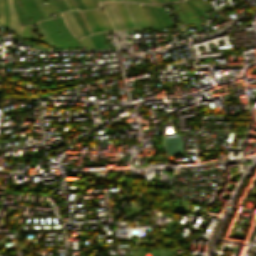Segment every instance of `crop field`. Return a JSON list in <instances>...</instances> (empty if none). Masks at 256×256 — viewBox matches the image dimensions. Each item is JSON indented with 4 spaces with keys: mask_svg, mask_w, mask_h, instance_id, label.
I'll return each mask as SVG.
<instances>
[{
    "mask_svg": "<svg viewBox=\"0 0 256 256\" xmlns=\"http://www.w3.org/2000/svg\"><path fill=\"white\" fill-rule=\"evenodd\" d=\"M105 1H107V0H105Z\"/></svg>",
    "mask_w": 256,
    "mask_h": 256,
    "instance_id": "53",
    "label": "crop field"
},
{
    "mask_svg": "<svg viewBox=\"0 0 256 256\" xmlns=\"http://www.w3.org/2000/svg\"><path fill=\"white\" fill-rule=\"evenodd\" d=\"M82 13H83V15H84V17H85V19H86V21H87L89 27L91 28L92 32L95 33V31H94V29H93V27H92L90 21L88 20V18H87L86 15L84 14V12H82Z\"/></svg>",
    "mask_w": 256,
    "mask_h": 256,
    "instance_id": "28",
    "label": "crop field"
},
{
    "mask_svg": "<svg viewBox=\"0 0 256 256\" xmlns=\"http://www.w3.org/2000/svg\"><path fill=\"white\" fill-rule=\"evenodd\" d=\"M42 1V0H41ZM42 3H44L43 1H42Z\"/></svg>",
    "mask_w": 256,
    "mask_h": 256,
    "instance_id": "50",
    "label": "crop field"
},
{
    "mask_svg": "<svg viewBox=\"0 0 256 256\" xmlns=\"http://www.w3.org/2000/svg\"><path fill=\"white\" fill-rule=\"evenodd\" d=\"M72 14L75 16L76 12H75V14H74V12H72ZM76 16H77V14H76ZM76 16H75V18H76ZM77 18L79 19L78 16H77ZM77 18H76V19H77ZM77 21H78V20H77ZM79 21H80V19H79ZM79 21H78V23H79ZM80 23H81L82 27L84 28V30L86 31L87 35H89L88 32H87V30L85 29V27H84V25L82 24L81 21H80ZM80 23H79V25H80ZM81 25H80V27H81ZM82 27H81V28H82ZM83 28H82V30H83ZM84 30H83V32H84ZM86 33L84 32L85 36H87Z\"/></svg>",
    "mask_w": 256,
    "mask_h": 256,
    "instance_id": "25",
    "label": "crop field"
},
{
    "mask_svg": "<svg viewBox=\"0 0 256 256\" xmlns=\"http://www.w3.org/2000/svg\"><path fill=\"white\" fill-rule=\"evenodd\" d=\"M3 6H4V25L3 26L7 27L8 26V22H9L7 0H3Z\"/></svg>",
    "mask_w": 256,
    "mask_h": 256,
    "instance_id": "11",
    "label": "crop field"
},
{
    "mask_svg": "<svg viewBox=\"0 0 256 256\" xmlns=\"http://www.w3.org/2000/svg\"><path fill=\"white\" fill-rule=\"evenodd\" d=\"M185 2L197 15L203 14L190 0H186Z\"/></svg>",
    "mask_w": 256,
    "mask_h": 256,
    "instance_id": "14",
    "label": "crop field"
},
{
    "mask_svg": "<svg viewBox=\"0 0 256 256\" xmlns=\"http://www.w3.org/2000/svg\"><path fill=\"white\" fill-rule=\"evenodd\" d=\"M59 49L78 47L75 37L70 33L62 16L40 22ZM60 32V34H58Z\"/></svg>",
    "mask_w": 256,
    "mask_h": 256,
    "instance_id": "1",
    "label": "crop field"
},
{
    "mask_svg": "<svg viewBox=\"0 0 256 256\" xmlns=\"http://www.w3.org/2000/svg\"><path fill=\"white\" fill-rule=\"evenodd\" d=\"M109 5H110V7H111V9H112V11H113L115 17H116V19H117V21H118V23H119L121 29L127 28L126 25H125V23H124V21H123L122 16H120V13H119V11H118V9H117L115 3H109Z\"/></svg>",
    "mask_w": 256,
    "mask_h": 256,
    "instance_id": "8",
    "label": "crop field"
},
{
    "mask_svg": "<svg viewBox=\"0 0 256 256\" xmlns=\"http://www.w3.org/2000/svg\"><path fill=\"white\" fill-rule=\"evenodd\" d=\"M141 8H142V11H143V13H144L145 17L147 18V20H148V22H149L150 26H151V28H153V25H152V23H151L150 19L148 18L147 14H146V12H145L144 7H143V6H141Z\"/></svg>",
    "mask_w": 256,
    "mask_h": 256,
    "instance_id": "27",
    "label": "crop field"
},
{
    "mask_svg": "<svg viewBox=\"0 0 256 256\" xmlns=\"http://www.w3.org/2000/svg\"><path fill=\"white\" fill-rule=\"evenodd\" d=\"M39 25V23H37ZM41 31L43 32V34L45 35V37L47 38L48 42L50 43V45H52L53 43L51 42V40L49 39V37L47 36V34L44 32V30L41 28V26L39 25Z\"/></svg>",
    "mask_w": 256,
    "mask_h": 256,
    "instance_id": "29",
    "label": "crop field"
},
{
    "mask_svg": "<svg viewBox=\"0 0 256 256\" xmlns=\"http://www.w3.org/2000/svg\"><path fill=\"white\" fill-rule=\"evenodd\" d=\"M23 37L29 38V26H25Z\"/></svg>",
    "mask_w": 256,
    "mask_h": 256,
    "instance_id": "26",
    "label": "crop field"
},
{
    "mask_svg": "<svg viewBox=\"0 0 256 256\" xmlns=\"http://www.w3.org/2000/svg\"><path fill=\"white\" fill-rule=\"evenodd\" d=\"M12 37H13L14 39H16V40L21 41V39H20V38L16 37V36H15V35H13V34H12ZM13 38H12V39H13Z\"/></svg>",
    "mask_w": 256,
    "mask_h": 256,
    "instance_id": "37",
    "label": "crop field"
},
{
    "mask_svg": "<svg viewBox=\"0 0 256 256\" xmlns=\"http://www.w3.org/2000/svg\"><path fill=\"white\" fill-rule=\"evenodd\" d=\"M65 1V3L67 4V2H66V0H64ZM67 6L69 7V5L67 4ZM69 9H70V7H69Z\"/></svg>",
    "mask_w": 256,
    "mask_h": 256,
    "instance_id": "42",
    "label": "crop field"
},
{
    "mask_svg": "<svg viewBox=\"0 0 256 256\" xmlns=\"http://www.w3.org/2000/svg\"><path fill=\"white\" fill-rule=\"evenodd\" d=\"M54 2H55V4H56V6L58 7V9L60 10V11H62V9H63V11H65V8H66V10H68V7L65 5V3L63 2V0H61V2L63 3V5H64V7H63V5H62V3L60 2V0H57L58 2H59V4H60V6L62 7V9H61V7L59 6V4H58V2L56 1V0H53Z\"/></svg>",
    "mask_w": 256,
    "mask_h": 256,
    "instance_id": "18",
    "label": "crop field"
},
{
    "mask_svg": "<svg viewBox=\"0 0 256 256\" xmlns=\"http://www.w3.org/2000/svg\"><path fill=\"white\" fill-rule=\"evenodd\" d=\"M151 3H155L154 0H150Z\"/></svg>",
    "mask_w": 256,
    "mask_h": 256,
    "instance_id": "41",
    "label": "crop field"
},
{
    "mask_svg": "<svg viewBox=\"0 0 256 256\" xmlns=\"http://www.w3.org/2000/svg\"><path fill=\"white\" fill-rule=\"evenodd\" d=\"M132 1H137V0H132Z\"/></svg>",
    "mask_w": 256,
    "mask_h": 256,
    "instance_id": "48",
    "label": "crop field"
},
{
    "mask_svg": "<svg viewBox=\"0 0 256 256\" xmlns=\"http://www.w3.org/2000/svg\"><path fill=\"white\" fill-rule=\"evenodd\" d=\"M101 10H102V9H101ZM101 10H100V9H99V10H96V12H97V14H98V16H99V18H100V20H101L102 24H103V25H104V27L106 28V30H111L112 26H111V24L109 23V21H108L107 17L105 16V14H104V12H103V10H102V12H103L104 16L106 17V19H107L108 23H109V24H110V26H111V28H110V26H109V24L107 23V21H106L105 17L103 16V14H102ZM112 30H114V29L112 28Z\"/></svg>",
    "mask_w": 256,
    "mask_h": 256,
    "instance_id": "10",
    "label": "crop field"
},
{
    "mask_svg": "<svg viewBox=\"0 0 256 256\" xmlns=\"http://www.w3.org/2000/svg\"><path fill=\"white\" fill-rule=\"evenodd\" d=\"M177 4V6H178V8L181 10V8H182V10L184 11V13L187 15V17L189 18V19H193L194 18V16H195V18H197L198 16L192 11V13H193V15H192V13L190 12V10H189V8H188V6L184 3V2H179V5H180V7H179V5H178V3H176ZM181 10V11H182ZM183 11H182V13H183ZM183 13V14H184ZM184 14V16H185V18L188 20V18L186 17V15ZM189 22V24H196V23H199V22H201L200 21V19L199 18H197V19H193V20H191V21H188Z\"/></svg>",
    "mask_w": 256,
    "mask_h": 256,
    "instance_id": "4",
    "label": "crop field"
},
{
    "mask_svg": "<svg viewBox=\"0 0 256 256\" xmlns=\"http://www.w3.org/2000/svg\"><path fill=\"white\" fill-rule=\"evenodd\" d=\"M170 2H172V1H175V0H169Z\"/></svg>",
    "mask_w": 256,
    "mask_h": 256,
    "instance_id": "44",
    "label": "crop field"
},
{
    "mask_svg": "<svg viewBox=\"0 0 256 256\" xmlns=\"http://www.w3.org/2000/svg\"><path fill=\"white\" fill-rule=\"evenodd\" d=\"M202 12L206 11L204 6L198 2V0H191ZM208 10V9H207Z\"/></svg>",
    "mask_w": 256,
    "mask_h": 256,
    "instance_id": "22",
    "label": "crop field"
},
{
    "mask_svg": "<svg viewBox=\"0 0 256 256\" xmlns=\"http://www.w3.org/2000/svg\"><path fill=\"white\" fill-rule=\"evenodd\" d=\"M30 38L36 39L33 29H32V26H30Z\"/></svg>",
    "mask_w": 256,
    "mask_h": 256,
    "instance_id": "31",
    "label": "crop field"
},
{
    "mask_svg": "<svg viewBox=\"0 0 256 256\" xmlns=\"http://www.w3.org/2000/svg\"><path fill=\"white\" fill-rule=\"evenodd\" d=\"M8 5H9V11H10V22L8 28L12 29L16 33L22 35L23 27L18 23V20L16 18L14 8H13V3L12 0H8Z\"/></svg>",
    "mask_w": 256,
    "mask_h": 256,
    "instance_id": "3",
    "label": "crop field"
},
{
    "mask_svg": "<svg viewBox=\"0 0 256 256\" xmlns=\"http://www.w3.org/2000/svg\"><path fill=\"white\" fill-rule=\"evenodd\" d=\"M128 5H129V4H128ZM129 7H130V5H129ZM130 10H131L132 16H133V18H134V20H135V22H136V24H137V21H136V19H135V17H134V14H133V12H132L131 7H130ZM137 26H138V24H137ZM138 27H139V26H138Z\"/></svg>",
    "mask_w": 256,
    "mask_h": 256,
    "instance_id": "35",
    "label": "crop field"
},
{
    "mask_svg": "<svg viewBox=\"0 0 256 256\" xmlns=\"http://www.w3.org/2000/svg\"><path fill=\"white\" fill-rule=\"evenodd\" d=\"M34 2L36 3L37 7L39 8V10L41 11V13L43 14V16L45 17V19L50 18V15L48 14V12L46 11V9L43 7V5L41 4V2L39 0H34Z\"/></svg>",
    "mask_w": 256,
    "mask_h": 256,
    "instance_id": "12",
    "label": "crop field"
},
{
    "mask_svg": "<svg viewBox=\"0 0 256 256\" xmlns=\"http://www.w3.org/2000/svg\"><path fill=\"white\" fill-rule=\"evenodd\" d=\"M163 2H166L165 0H162Z\"/></svg>",
    "mask_w": 256,
    "mask_h": 256,
    "instance_id": "47",
    "label": "crop field"
},
{
    "mask_svg": "<svg viewBox=\"0 0 256 256\" xmlns=\"http://www.w3.org/2000/svg\"><path fill=\"white\" fill-rule=\"evenodd\" d=\"M23 43H26V44H28V45L34 46V47L39 48V49L48 50V49H46V48H44V47H39V46H36V45H34V44L27 43V42H25V41H23Z\"/></svg>",
    "mask_w": 256,
    "mask_h": 256,
    "instance_id": "30",
    "label": "crop field"
},
{
    "mask_svg": "<svg viewBox=\"0 0 256 256\" xmlns=\"http://www.w3.org/2000/svg\"><path fill=\"white\" fill-rule=\"evenodd\" d=\"M160 2H162L161 0H159Z\"/></svg>",
    "mask_w": 256,
    "mask_h": 256,
    "instance_id": "49",
    "label": "crop field"
},
{
    "mask_svg": "<svg viewBox=\"0 0 256 256\" xmlns=\"http://www.w3.org/2000/svg\"><path fill=\"white\" fill-rule=\"evenodd\" d=\"M63 16L68 24V27L70 31L77 37V38H82L85 37L81 28L79 27L76 19L74 16L71 14V12H65L63 13Z\"/></svg>",
    "mask_w": 256,
    "mask_h": 256,
    "instance_id": "2",
    "label": "crop field"
},
{
    "mask_svg": "<svg viewBox=\"0 0 256 256\" xmlns=\"http://www.w3.org/2000/svg\"><path fill=\"white\" fill-rule=\"evenodd\" d=\"M147 2L150 3L149 0H147Z\"/></svg>",
    "mask_w": 256,
    "mask_h": 256,
    "instance_id": "46",
    "label": "crop field"
},
{
    "mask_svg": "<svg viewBox=\"0 0 256 256\" xmlns=\"http://www.w3.org/2000/svg\"><path fill=\"white\" fill-rule=\"evenodd\" d=\"M155 10L157 11L158 15L160 16L163 24L165 26H172V22L170 21L169 16L165 13L164 8L162 5L154 6Z\"/></svg>",
    "mask_w": 256,
    "mask_h": 256,
    "instance_id": "6",
    "label": "crop field"
},
{
    "mask_svg": "<svg viewBox=\"0 0 256 256\" xmlns=\"http://www.w3.org/2000/svg\"><path fill=\"white\" fill-rule=\"evenodd\" d=\"M3 24V7H2V0H0V25Z\"/></svg>",
    "mask_w": 256,
    "mask_h": 256,
    "instance_id": "23",
    "label": "crop field"
},
{
    "mask_svg": "<svg viewBox=\"0 0 256 256\" xmlns=\"http://www.w3.org/2000/svg\"><path fill=\"white\" fill-rule=\"evenodd\" d=\"M140 1H141V2H144V0H140ZM145 2H146V0H145ZM145 2H144V3H145ZM146 3H147V2H146Z\"/></svg>",
    "mask_w": 256,
    "mask_h": 256,
    "instance_id": "43",
    "label": "crop field"
},
{
    "mask_svg": "<svg viewBox=\"0 0 256 256\" xmlns=\"http://www.w3.org/2000/svg\"><path fill=\"white\" fill-rule=\"evenodd\" d=\"M21 2H22V0H21ZM22 5H23V7H24V9H25V11L27 12V14L29 15V17L32 19V21L34 22V20H33V18H32V16H31V14H30V12L28 11V9L26 8V6L24 5V3L22 2ZM34 24L37 26V28H38V30L40 31V29H39V27H38V25L34 22ZM40 33H41V35L44 37V35L42 34V32L40 31ZM44 39H45V37H44ZM45 41H46V39H45ZM46 43L48 44V42L46 41ZM49 45V44H48Z\"/></svg>",
    "mask_w": 256,
    "mask_h": 256,
    "instance_id": "19",
    "label": "crop field"
},
{
    "mask_svg": "<svg viewBox=\"0 0 256 256\" xmlns=\"http://www.w3.org/2000/svg\"><path fill=\"white\" fill-rule=\"evenodd\" d=\"M156 1V3H158V0H155Z\"/></svg>",
    "mask_w": 256,
    "mask_h": 256,
    "instance_id": "45",
    "label": "crop field"
},
{
    "mask_svg": "<svg viewBox=\"0 0 256 256\" xmlns=\"http://www.w3.org/2000/svg\"><path fill=\"white\" fill-rule=\"evenodd\" d=\"M49 5L51 6V8L53 9V11L56 13V15H60L59 10L57 9V7L54 5V3L52 2V0H46Z\"/></svg>",
    "mask_w": 256,
    "mask_h": 256,
    "instance_id": "21",
    "label": "crop field"
},
{
    "mask_svg": "<svg viewBox=\"0 0 256 256\" xmlns=\"http://www.w3.org/2000/svg\"><path fill=\"white\" fill-rule=\"evenodd\" d=\"M83 46L85 48H95L93 42L91 41L90 37L84 38L83 40H81Z\"/></svg>",
    "mask_w": 256,
    "mask_h": 256,
    "instance_id": "13",
    "label": "crop field"
},
{
    "mask_svg": "<svg viewBox=\"0 0 256 256\" xmlns=\"http://www.w3.org/2000/svg\"><path fill=\"white\" fill-rule=\"evenodd\" d=\"M29 3L31 4V6L33 7V9L35 10V12L37 13V15L39 16V18L41 20L44 19V17L42 16V14L40 13V11L38 10V8L36 7L35 3L33 2V0H28ZM27 0H23V2L25 3V5L27 6V8L29 9V11L31 12L35 22L39 21L38 16L36 15V13L34 12V10L32 9V7L30 6V4L28 3Z\"/></svg>",
    "mask_w": 256,
    "mask_h": 256,
    "instance_id": "5",
    "label": "crop field"
},
{
    "mask_svg": "<svg viewBox=\"0 0 256 256\" xmlns=\"http://www.w3.org/2000/svg\"><path fill=\"white\" fill-rule=\"evenodd\" d=\"M145 8H146V12H147L148 16L150 17V19H151L152 23L154 24V26L158 27V25H157L153 15L151 14V11L149 10L148 6H145Z\"/></svg>",
    "mask_w": 256,
    "mask_h": 256,
    "instance_id": "17",
    "label": "crop field"
},
{
    "mask_svg": "<svg viewBox=\"0 0 256 256\" xmlns=\"http://www.w3.org/2000/svg\"><path fill=\"white\" fill-rule=\"evenodd\" d=\"M129 1H131V0H129Z\"/></svg>",
    "mask_w": 256,
    "mask_h": 256,
    "instance_id": "54",
    "label": "crop field"
},
{
    "mask_svg": "<svg viewBox=\"0 0 256 256\" xmlns=\"http://www.w3.org/2000/svg\"><path fill=\"white\" fill-rule=\"evenodd\" d=\"M139 1V0H138ZM140 2V1H139Z\"/></svg>",
    "mask_w": 256,
    "mask_h": 256,
    "instance_id": "52",
    "label": "crop field"
},
{
    "mask_svg": "<svg viewBox=\"0 0 256 256\" xmlns=\"http://www.w3.org/2000/svg\"><path fill=\"white\" fill-rule=\"evenodd\" d=\"M44 6L48 10V12L51 13L50 10L48 9V7L46 6V4H44Z\"/></svg>",
    "mask_w": 256,
    "mask_h": 256,
    "instance_id": "38",
    "label": "crop field"
},
{
    "mask_svg": "<svg viewBox=\"0 0 256 256\" xmlns=\"http://www.w3.org/2000/svg\"><path fill=\"white\" fill-rule=\"evenodd\" d=\"M202 3H204L209 9H212L205 1L200 0Z\"/></svg>",
    "mask_w": 256,
    "mask_h": 256,
    "instance_id": "36",
    "label": "crop field"
},
{
    "mask_svg": "<svg viewBox=\"0 0 256 256\" xmlns=\"http://www.w3.org/2000/svg\"><path fill=\"white\" fill-rule=\"evenodd\" d=\"M167 1V0H166ZM168 2V1H167Z\"/></svg>",
    "mask_w": 256,
    "mask_h": 256,
    "instance_id": "51",
    "label": "crop field"
},
{
    "mask_svg": "<svg viewBox=\"0 0 256 256\" xmlns=\"http://www.w3.org/2000/svg\"><path fill=\"white\" fill-rule=\"evenodd\" d=\"M123 4V3H122ZM123 6H124V4H123ZM124 8H125V6H124ZM125 10H126V8H125ZM126 12H127V10H126ZM128 14V13H127ZM129 16V15H128ZM130 18V17H129ZM131 24V23H130ZM132 26V25H131Z\"/></svg>",
    "mask_w": 256,
    "mask_h": 256,
    "instance_id": "39",
    "label": "crop field"
},
{
    "mask_svg": "<svg viewBox=\"0 0 256 256\" xmlns=\"http://www.w3.org/2000/svg\"><path fill=\"white\" fill-rule=\"evenodd\" d=\"M74 1H75L76 5L78 6V8H80V6H81V8L83 9L84 5H83L82 0H80V1H81V3H82L83 7H82V5H81V3H80V1H79V0H77V1H78V3L80 4V6H79V4L77 3V1H76V0H74ZM81 8H80V9H81ZM84 8H85V7H84Z\"/></svg>",
    "mask_w": 256,
    "mask_h": 256,
    "instance_id": "33",
    "label": "crop field"
},
{
    "mask_svg": "<svg viewBox=\"0 0 256 256\" xmlns=\"http://www.w3.org/2000/svg\"><path fill=\"white\" fill-rule=\"evenodd\" d=\"M91 38L97 48H103L97 35L91 36Z\"/></svg>",
    "mask_w": 256,
    "mask_h": 256,
    "instance_id": "16",
    "label": "crop field"
},
{
    "mask_svg": "<svg viewBox=\"0 0 256 256\" xmlns=\"http://www.w3.org/2000/svg\"><path fill=\"white\" fill-rule=\"evenodd\" d=\"M160 27H164L153 6H149Z\"/></svg>",
    "mask_w": 256,
    "mask_h": 256,
    "instance_id": "15",
    "label": "crop field"
},
{
    "mask_svg": "<svg viewBox=\"0 0 256 256\" xmlns=\"http://www.w3.org/2000/svg\"><path fill=\"white\" fill-rule=\"evenodd\" d=\"M14 1H15V0H14ZM16 3H17V2H16ZM17 6H18V4H17ZM14 8H15V11H16V15H17V17H18V19H19V16H20L22 10H21V12H20V14H19V16H18V12L20 11L21 8H20L19 11L17 12V9H18L19 7L16 9L15 3H14ZM22 14H23V12H22ZM22 14H21V16H22ZM21 16H20V19H21ZM23 18H24L25 24H28V22H27V20H26V18H25V16H24V14H23ZM23 18H22V19H23ZM20 19H19V22H20ZM22 19H21V22H22ZM21 22H20V23H21ZM22 24H23V23H22Z\"/></svg>",
    "mask_w": 256,
    "mask_h": 256,
    "instance_id": "20",
    "label": "crop field"
},
{
    "mask_svg": "<svg viewBox=\"0 0 256 256\" xmlns=\"http://www.w3.org/2000/svg\"><path fill=\"white\" fill-rule=\"evenodd\" d=\"M83 2H84L87 9L94 8L92 3H91V0H83Z\"/></svg>",
    "mask_w": 256,
    "mask_h": 256,
    "instance_id": "24",
    "label": "crop field"
},
{
    "mask_svg": "<svg viewBox=\"0 0 256 256\" xmlns=\"http://www.w3.org/2000/svg\"><path fill=\"white\" fill-rule=\"evenodd\" d=\"M101 5H102V7L104 8V10H105V12H106L108 18H109L110 21L112 22V24H113L115 30L120 29L119 26H118V24H117V22H116V20H115V18H114V16H113V14H112V12H111V10H110V8H109L108 3H106V4H101Z\"/></svg>",
    "mask_w": 256,
    "mask_h": 256,
    "instance_id": "9",
    "label": "crop field"
},
{
    "mask_svg": "<svg viewBox=\"0 0 256 256\" xmlns=\"http://www.w3.org/2000/svg\"><path fill=\"white\" fill-rule=\"evenodd\" d=\"M67 1H68V3L70 4L71 8H72V9H75V7H74L72 1H71V0H67Z\"/></svg>",
    "mask_w": 256,
    "mask_h": 256,
    "instance_id": "34",
    "label": "crop field"
},
{
    "mask_svg": "<svg viewBox=\"0 0 256 256\" xmlns=\"http://www.w3.org/2000/svg\"><path fill=\"white\" fill-rule=\"evenodd\" d=\"M131 5V4H130ZM131 7H132V5H131ZM133 9V8H132ZM134 12V11H133ZM135 14V13H134ZM136 16V15H135ZM136 19H137V17H136ZM138 21V20H137ZM138 24H139V22H138ZM140 26V25H139Z\"/></svg>",
    "mask_w": 256,
    "mask_h": 256,
    "instance_id": "40",
    "label": "crop field"
},
{
    "mask_svg": "<svg viewBox=\"0 0 256 256\" xmlns=\"http://www.w3.org/2000/svg\"><path fill=\"white\" fill-rule=\"evenodd\" d=\"M124 3H125V5H126V8H127L128 12H129V15H130V17H131V20H132L134 26L137 27L136 24H135V22H134V20H133V18H132V16H131L130 10H129V8H128L126 2H124Z\"/></svg>",
    "mask_w": 256,
    "mask_h": 256,
    "instance_id": "32",
    "label": "crop field"
},
{
    "mask_svg": "<svg viewBox=\"0 0 256 256\" xmlns=\"http://www.w3.org/2000/svg\"><path fill=\"white\" fill-rule=\"evenodd\" d=\"M132 5H133L134 11H135V13H136V15L138 17V20H139L141 26L142 27H149V24L146 21V19H145L144 15H143L139 5H134V4H132Z\"/></svg>",
    "mask_w": 256,
    "mask_h": 256,
    "instance_id": "7",
    "label": "crop field"
}]
</instances>
